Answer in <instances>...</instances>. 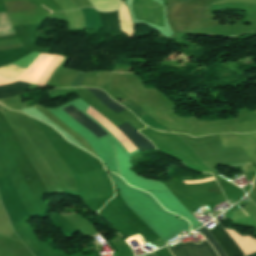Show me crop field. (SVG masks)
Listing matches in <instances>:
<instances>
[{"label":"crop field","mask_w":256,"mask_h":256,"mask_svg":"<svg viewBox=\"0 0 256 256\" xmlns=\"http://www.w3.org/2000/svg\"><path fill=\"white\" fill-rule=\"evenodd\" d=\"M242 210V209H241ZM243 211V210H242ZM244 212V211H243ZM246 215H247V213L246 212H244ZM248 216V215H247Z\"/></svg>","instance_id":"733c2abd"},{"label":"crop field","mask_w":256,"mask_h":256,"mask_svg":"<svg viewBox=\"0 0 256 256\" xmlns=\"http://www.w3.org/2000/svg\"><path fill=\"white\" fill-rule=\"evenodd\" d=\"M118 129L130 139L139 151L154 149V146L128 123L118 127Z\"/></svg>","instance_id":"f4fd0767"},{"label":"crop field","mask_w":256,"mask_h":256,"mask_svg":"<svg viewBox=\"0 0 256 256\" xmlns=\"http://www.w3.org/2000/svg\"><path fill=\"white\" fill-rule=\"evenodd\" d=\"M132 10L136 19L164 27V6L153 0H133Z\"/></svg>","instance_id":"8a807250"},{"label":"crop field","mask_w":256,"mask_h":256,"mask_svg":"<svg viewBox=\"0 0 256 256\" xmlns=\"http://www.w3.org/2000/svg\"><path fill=\"white\" fill-rule=\"evenodd\" d=\"M204 235L206 236V239L212 244V246L216 249L217 253L221 254L222 256H225L224 253L221 251L218 243L215 241V239L211 236V234L208 232V230L204 227L200 229ZM220 256V255H219Z\"/></svg>","instance_id":"d1516ede"},{"label":"crop field","mask_w":256,"mask_h":256,"mask_svg":"<svg viewBox=\"0 0 256 256\" xmlns=\"http://www.w3.org/2000/svg\"><path fill=\"white\" fill-rule=\"evenodd\" d=\"M250 256H256V254L250 255Z\"/></svg>","instance_id":"4a817a6b"},{"label":"crop field","mask_w":256,"mask_h":256,"mask_svg":"<svg viewBox=\"0 0 256 256\" xmlns=\"http://www.w3.org/2000/svg\"><path fill=\"white\" fill-rule=\"evenodd\" d=\"M63 111H65L67 114L73 117L76 121H78L80 124H82L84 127H86L89 131H91L100 139L109 136V134H107L105 131L99 128L96 124H94L92 121H90L88 118H86L83 114H81L72 106L63 109Z\"/></svg>","instance_id":"dd49c442"},{"label":"crop field","mask_w":256,"mask_h":256,"mask_svg":"<svg viewBox=\"0 0 256 256\" xmlns=\"http://www.w3.org/2000/svg\"><path fill=\"white\" fill-rule=\"evenodd\" d=\"M119 21L121 25V31L126 33L128 37H133L134 27L128 9L124 4L120 10Z\"/></svg>","instance_id":"5a996713"},{"label":"crop field","mask_w":256,"mask_h":256,"mask_svg":"<svg viewBox=\"0 0 256 256\" xmlns=\"http://www.w3.org/2000/svg\"><path fill=\"white\" fill-rule=\"evenodd\" d=\"M210 232L220 243L226 256H243L242 252L238 249V247L234 244L230 237L224 232L220 224L213 228Z\"/></svg>","instance_id":"34b2d1b8"},{"label":"crop field","mask_w":256,"mask_h":256,"mask_svg":"<svg viewBox=\"0 0 256 256\" xmlns=\"http://www.w3.org/2000/svg\"><path fill=\"white\" fill-rule=\"evenodd\" d=\"M86 29H101L98 14L93 8L81 9Z\"/></svg>","instance_id":"d8731c3e"},{"label":"crop field","mask_w":256,"mask_h":256,"mask_svg":"<svg viewBox=\"0 0 256 256\" xmlns=\"http://www.w3.org/2000/svg\"><path fill=\"white\" fill-rule=\"evenodd\" d=\"M174 256H217L210 244L205 240L199 245L188 243L170 248Z\"/></svg>","instance_id":"ac0d7876"},{"label":"crop field","mask_w":256,"mask_h":256,"mask_svg":"<svg viewBox=\"0 0 256 256\" xmlns=\"http://www.w3.org/2000/svg\"><path fill=\"white\" fill-rule=\"evenodd\" d=\"M1 103V102H0ZM3 105V103H1Z\"/></svg>","instance_id":"bc2a9ffb"},{"label":"crop field","mask_w":256,"mask_h":256,"mask_svg":"<svg viewBox=\"0 0 256 256\" xmlns=\"http://www.w3.org/2000/svg\"><path fill=\"white\" fill-rule=\"evenodd\" d=\"M167 247V246H166ZM168 248V247H167ZM172 254V253H171Z\"/></svg>","instance_id":"214f88e0"},{"label":"crop field","mask_w":256,"mask_h":256,"mask_svg":"<svg viewBox=\"0 0 256 256\" xmlns=\"http://www.w3.org/2000/svg\"><path fill=\"white\" fill-rule=\"evenodd\" d=\"M117 12L118 11L111 12V13L98 12L103 30L111 33V35L114 37L119 36V29H118L119 24L117 20Z\"/></svg>","instance_id":"e52e79f7"},{"label":"crop field","mask_w":256,"mask_h":256,"mask_svg":"<svg viewBox=\"0 0 256 256\" xmlns=\"http://www.w3.org/2000/svg\"><path fill=\"white\" fill-rule=\"evenodd\" d=\"M85 75H86V73L78 72V74L74 78V80H73L72 84L70 85V87H80L81 83L83 82V80L85 78Z\"/></svg>","instance_id":"cbeb9de0"},{"label":"crop field","mask_w":256,"mask_h":256,"mask_svg":"<svg viewBox=\"0 0 256 256\" xmlns=\"http://www.w3.org/2000/svg\"><path fill=\"white\" fill-rule=\"evenodd\" d=\"M90 116L93 117L102 126H104L107 130H109L113 135H115L123 144V146L128 150L129 153L137 150L126 136H124L113 124H111L105 117H103L97 111L94 110Z\"/></svg>","instance_id":"412701ff"},{"label":"crop field","mask_w":256,"mask_h":256,"mask_svg":"<svg viewBox=\"0 0 256 256\" xmlns=\"http://www.w3.org/2000/svg\"><path fill=\"white\" fill-rule=\"evenodd\" d=\"M100 11H115L120 8L121 0H89Z\"/></svg>","instance_id":"3316defc"},{"label":"crop field","mask_w":256,"mask_h":256,"mask_svg":"<svg viewBox=\"0 0 256 256\" xmlns=\"http://www.w3.org/2000/svg\"><path fill=\"white\" fill-rule=\"evenodd\" d=\"M120 104L130 109L136 116L145 113V111H143L140 107H138L136 104H134L131 101L120 103Z\"/></svg>","instance_id":"22f410ed"},{"label":"crop field","mask_w":256,"mask_h":256,"mask_svg":"<svg viewBox=\"0 0 256 256\" xmlns=\"http://www.w3.org/2000/svg\"><path fill=\"white\" fill-rule=\"evenodd\" d=\"M93 95H95L99 100H101L105 105L112 109L115 113L123 111L125 108L111 100L103 91L97 89H87Z\"/></svg>","instance_id":"28ad6ade"},{"label":"crop field","mask_w":256,"mask_h":256,"mask_svg":"<svg viewBox=\"0 0 256 256\" xmlns=\"http://www.w3.org/2000/svg\"><path fill=\"white\" fill-rule=\"evenodd\" d=\"M7 82H11V81H10V80H6V79H3V78L0 77V84H1V83H7Z\"/></svg>","instance_id":"d9b57169"},{"label":"crop field","mask_w":256,"mask_h":256,"mask_svg":"<svg viewBox=\"0 0 256 256\" xmlns=\"http://www.w3.org/2000/svg\"><path fill=\"white\" fill-rule=\"evenodd\" d=\"M213 177L207 178L204 180H198V181H185V184H194V183H201V182H208V181H213Z\"/></svg>","instance_id":"5142ce71"}]
</instances>
